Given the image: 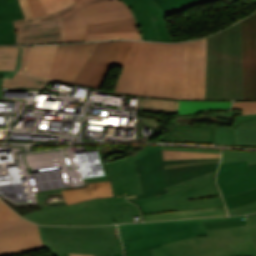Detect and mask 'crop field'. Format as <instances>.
I'll return each mask as SVG.
<instances>
[{
	"label": "crop field",
	"instance_id": "obj_1",
	"mask_svg": "<svg viewBox=\"0 0 256 256\" xmlns=\"http://www.w3.org/2000/svg\"><path fill=\"white\" fill-rule=\"evenodd\" d=\"M105 164L109 171L114 197L40 210L22 217L38 224L50 225H102L132 222L131 216L140 214L137 206L126 201L125 195L142 193L133 156Z\"/></svg>",
	"mask_w": 256,
	"mask_h": 256
},
{
	"label": "crop field",
	"instance_id": "obj_2",
	"mask_svg": "<svg viewBox=\"0 0 256 256\" xmlns=\"http://www.w3.org/2000/svg\"><path fill=\"white\" fill-rule=\"evenodd\" d=\"M183 54L184 43L133 42L114 92L182 99Z\"/></svg>",
	"mask_w": 256,
	"mask_h": 256
},
{
	"label": "crop field",
	"instance_id": "obj_3",
	"mask_svg": "<svg viewBox=\"0 0 256 256\" xmlns=\"http://www.w3.org/2000/svg\"><path fill=\"white\" fill-rule=\"evenodd\" d=\"M205 99H243L241 22L207 37Z\"/></svg>",
	"mask_w": 256,
	"mask_h": 256
},
{
	"label": "crop field",
	"instance_id": "obj_4",
	"mask_svg": "<svg viewBox=\"0 0 256 256\" xmlns=\"http://www.w3.org/2000/svg\"><path fill=\"white\" fill-rule=\"evenodd\" d=\"M242 227L207 231L209 237L191 238L152 250L153 256H256V214Z\"/></svg>",
	"mask_w": 256,
	"mask_h": 256
},
{
	"label": "crop field",
	"instance_id": "obj_5",
	"mask_svg": "<svg viewBox=\"0 0 256 256\" xmlns=\"http://www.w3.org/2000/svg\"><path fill=\"white\" fill-rule=\"evenodd\" d=\"M45 246L54 255L123 253L116 225L101 227L39 226Z\"/></svg>",
	"mask_w": 256,
	"mask_h": 256
},
{
	"label": "crop field",
	"instance_id": "obj_6",
	"mask_svg": "<svg viewBox=\"0 0 256 256\" xmlns=\"http://www.w3.org/2000/svg\"><path fill=\"white\" fill-rule=\"evenodd\" d=\"M242 217L246 216L125 224L118 227L125 253H133L161 247V244L181 239L208 236L201 221Z\"/></svg>",
	"mask_w": 256,
	"mask_h": 256
},
{
	"label": "crop field",
	"instance_id": "obj_7",
	"mask_svg": "<svg viewBox=\"0 0 256 256\" xmlns=\"http://www.w3.org/2000/svg\"><path fill=\"white\" fill-rule=\"evenodd\" d=\"M219 159L220 158L163 161L162 150L135 159L143 194L126 197L128 200H133L161 194L165 192L164 188L167 186L217 170L219 162L169 169H164L163 165Z\"/></svg>",
	"mask_w": 256,
	"mask_h": 256
},
{
	"label": "crop field",
	"instance_id": "obj_8",
	"mask_svg": "<svg viewBox=\"0 0 256 256\" xmlns=\"http://www.w3.org/2000/svg\"><path fill=\"white\" fill-rule=\"evenodd\" d=\"M215 174L216 171L170 186L166 188L169 195L137 205L142 214L224 206Z\"/></svg>",
	"mask_w": 256,
	"mask_h": 256
},
{
	"label": "crop field",
	"instance_id": "obj_9",
	"mask_svg": "<svg viewBox=\"0 0 256 256\" xmlns=\"http://www.w3.org/2000/svg\"><path fill=\"white\" fill-rule=\"evenodd\" d=\"M80 6L62 17L64 43L87 41L86 24L130 18L131 10L119 0H81Z\"/></svg>",
	"mask_w": 256,
	"mask_h": 256
},
{
	"label": "crop field",
	"instance_id": "obj_10",
	"mask_svg": "<svg viewBox=\"0 0 256 256\" xmlns=\"http://www.w3.org/2000/svg\"><path fill=\"white\" fill-rule=\"evenodd\" d=\"M23 20L14 21L17 44L63 43L61 16L78 5L75 3L57 13L33 18L26 0H19Z\"/></svg>",
	"mask_w": 256,
	"mask_h": 256
},
{
	"label": "crop field",
	"instance_id": "obj_11",
	"mask_svg": "<svg viewBox=\"0 0 256 256\" xmlns=\"http://www.w3.org/2000/svg\"><path fill=\"white\" fill-rule=\"evenodd\" d=\"M132 42H99L73 83L99 89L111 64L123 65Z\"/></svg>",
	"mask_w": 256,
	"mask_h": 256
},
{
	"label": "crop field",
	"instance_id": "obj_12",
	"mask_svg": "<svg viewBox=\"0 0 256 256\" xmlns=\"http://www.w3.org/2000/svg\"><path fill=\"white\" fill-rule=\"evenodd\" d=\"M45 248L38 225L22 218L0 222V256H11L19 253Z\"/></svg>",
	"mask_w": 256,
	"mask_h": 256
},
{
	"label": "crop field",
	"instance_id": "obj_13",
	"mask_svg": "<svg viewBox=\"0 0 256 256\" xmlns=\"http://www.w3.org/2000/svg\"><path fill=\"white\" fill-rule=\"evenodd\" d=\"M206 38L185 43L183 99H204Z\"/></svg>",
	"mask_w": 256,
	"mask_h": 256
},
{
	"label": "crop field",
	"instance_id": "obj_14",
	"mask_svg": "<svg viewBox=\"0 0 256 256\" xmlns=\"http://www.w3.org/2000/svg\"><path fill=\"white\" fill-rule=\"evenodd\" d=\"M97 44L59 45L48 77L72 83Z\"/></svg>",
	"mask_w": 256,
	"mask_h": 256
},
{
	"label": "crop field",
	"instance_id": "obj_15",
	"mask_svg": "<svg viewBox=\"0 0 256 256\" xmlns=\"http://www.w3.org/2000/svg\"><path fill=\"white\" fill-rule=\"evenodd\" d=\"M134 12L143 40L172 42L163 19L153 21L152 16L162 14L154 0H123Z\"/></svg>",
	"mask_w": 256,
	"mask_h": 256
},
{
	"label": "crop field",
	"instance_id": "obj_16",
	"mask_svg": "<svg viewBox=\"0 0 256 256\" xmlns=\"http://www.w3.org/2000/svg\"><path fill=\"white\" fill-rule=\"evenodd\" d=\"M244 99H256V16L242 21Z\"/></svg>",
	"mask_w": 256,
	"mask_h": 256
},
{
	"label": "crop field",
	"instance_id": "obj_17",
	"mask_svg": "<svg viewBox=\"0 0 256 256\" xmlns=\"http://www.w3.org/2000/svg\"><path fill=\"white\" fill-rule=\"evenodd\" d=\"M215 128L195 124L174 125L169 133L160 138V141L214 144Z\"/></svg>",
	"mask_w": 256,
	"mask_h": 256
},
{
	"label": "crop field",
	"instance_id": "obj_18",
	"mask_svg": "<svg viewBox=\"0 0 256 256\" xmlns=\"http://www.w3.org/2000/svg\"><path fill=\"white\" fill-rule=\"evenodd\" d=\"M222 196H230L256 188V167L230 174L217 181Z\"/></svg>",
	"mask_w": 256,
	"mask_h": 256
},
{
	"label": "crop field",
	"instance_id": "obj_19",
	"mask_svg": "<svg viewBox=\"0 0 256 256\" xmlns=\"http://www.w3.org/2000/svg\"><path fill=\"white\" fill-rule=\"evenodd\" d=\"M32 50L33 46H23L20 69L12 79H3L2 88L17 86L43 88L47 83L52 81L51 78L26 74Z\"/></svg>",
	"mask_w": 256,
	"mask_h": 256
},
{
	"label": "crop field",
	"instance_id": "obj_20",
	"mask_svg": "<svg viewBox=\"0 0 256 256\" xmlns=\"http://www.w3.org/2000/svg\"><path fill=\"white\" fill-rule=\"evenodd\" d=\"M62 192L68 205L93 198L113 196L110 181L89 183L86 188Z\"/></svg>",
	"mask_w": 256,
	"mask_h": 256
},
{
	"label": "crop field",
	"instance_id": "obj_21",
	"mask_svg": "<svg viewBox=\"0 0 256 256\" xmlns=\"http://www.w3.org/2000/svg\"><path fill=\"white\" fill-rule=\"evenodd\" d=\"M57 46H34L27 73L47 77Z\"/></svg>",
	"mask_w": 256,
	"mask_h": 256
},
{
	"label": "crop field",
	"instance_id": "obj_22",
	"mask_svg": "<svg viewBox=\"0 0 256 256\" xmlns=\"http://www.w3.org/2000/svg\"><path fill=\"white\" fill-rule=\"evenodd\" d=\"M228 215L225 207L211 208L196 211H172L156 214L142 215L144 221L175 219V218H192V217H210Z\"/></svg>",
	"mask_w": 256,
	"mask_h": 256
},
{
	"label": "crop field",
	"instance_id": "obj_23",
	"mask_svg": "<svg viewBox=\"0 0 256 256\" xmlns=\"http://www.w3.org/2000/svg\"><path fill=\"white\" fill-rule=\"evenodd\" d=\"M232 101H188L180 100L179 115H188L203 110L230 109Z\"/></svg>",
	"mask_w": 256,
	"mask_h": 256
},
{
	"label": "crop field",
	"instance_id": "obj_24",
	"mask_svg": "<svg viewBox=\"0 0 256 256\" xmlns=\"http://www.w3.org/2000/svg\"><path fill=\"white\" fill-rule=\"evenodd\" d=\"M88 34L138 31L133 18L87 25Z\"/></svg>",
	"mask_w": 256,
	"mask_h": 256
},
{
	"label": "crop field",
	"instance_id": "obj_25",
	"mask_svg": "<svg viewBox=\"0 0 256 256\" xmlns=\"http://www.w3.org/2000/svg\"><path fill=\"white\" fill-rule=\"evenodd\" d=\"M165 14L153 17L154 20L163 18L165 15L177 13L190 6L202 4L214 0H155ZM165 6V7H163Z\"/></svg>",
	"mask_w": 256,
	"mask_h": 256
},
{
	"label": "crop field",
	"instance_id": "obj_26",
	"mask_svg": "<svg viewBox=\"0 0 256 256\" xmlns=\"http://www.w3.org/2000/svg\"><path fill=\"white\" fill-rule=\"evenodd\" d=\"M235 136L236 145L256 146V121L239 124Z\"/></svg>",
	"mask_w": 256,
	"mask_h": 256
},
{
	"label": "crop field",
	"instance_id": "obj_27",
	"mask_svg": "<svg viewBox=\"0 0 256 256\" xmlns=\"http://www.w3.org/2000/svg\"><path fill=\"white\" fill-rule=\"evenodd\" d=\"M179 100L156 99L140 97L139 109L141 110H156V111H178Z\"/></svg>",
	"mask_w": 256,
	"mask_h": 256
},
{
	"label": "crop field",
	"instance_id": "obj_28",
	"mask_svg": "<svg viewBox=\"0 0 256 256\" xmlns=\"http://www.w3.org/2000/svg\"><path fill=\"white\" fill-rule=\"evenodd\" d=\"M23 18L18 0H0V22Z\"/></svg>",
	"mask_w": 256,
	"mask_h": 256
},
{
	"label": "crop field",
	"instance_id": "obj_29",
	"mask_svg": "<svg viewBox=\"0 0 256 256\" xmlns=\"http://www.w3.org/2000/svg\"><path fill=\"white\" fill-rule=\"evenodd\" d=\"M19 46L0 47V70H14Z\"/></svg>",
	"mask_w": 256,
	"mask_h": 256
},
{
	"label": "crop field",
	"instance_id": "obj_30",
	"mask_svg": "<svg viewBox=\"0 0 256 256\" xmlns=\"http://www.w3.org/2000/svg\"><path fill=\"white\" fill-rule=\"evenodd\" d=\"M248 160L256 163V152L223 149L221 163Z\"/></svg>",
	"mask_w": 256,
	"mask_h": 256
},
{
	"label": "crop field",
	"instance_id": "obj_31",
	"mask_svg": "<svg viewBox=\"0 0 256 256\" xmlns=\"http://www.w3.org/2000/svg\"><path fill=\"white\" fill-rule=\"evenodd\" d=\"M163 156L164 160H173L220 157V154L163 150Z\"/></svg>",
	"mask_w": 256,
	"mask_h": 256
},
{
	"label": "crop field",
	"instance_id": "obj_32",
	"mask_svg": "<svg viewBox=\"0 0 256 256\" xmlns=\"http://www.w3.org/2000/svg\"><path fill=\"white\" fill-rule=\"evenodd\" d=\"M226 204V208H232L239 205H243L256 200V189L240 193L234 196L223 198Z\"/></svg>",
	"mask_w": 256,
	"mask_h": 256
},
{
	"label": "crop field",
	"instance_id": "obj_33",
	"mask_svg": "<svg viewBox=\"0 0 256 256\" xmlns=\"http://www.w3.org/2000/svg\"><path fill=\"white\" fill-rule=\"evenodd\" d=\"M16 44L13 22L0 23V45Z\"/></svg>",
	"mask_w": 256,
	"mask_h": 256
},
{
	"label": "crop field",
	"instance_id": "obj_34",
	"mask_svg": "<svg viewBox=\"0 0 256 256\" xmlns=\"http://www.w3.org/2000/svg\"><path fill=\"white\" fill-rule=\"evenodd\" d=\"M120 38L141 40L139 32L88 35V41L110 40V39H120Z\"/></svg>",
	"mask_w": 256,
	"mask_h": 256
},
{
	"label": "crop field",
	"instance_id": "obj_35",
	"mask_svg": "<svg viewBox=\"0 0 256 256\" xmlns=\"http://www.w3.org/2000/svg\"><path fill=\"white\" fill-rule=\"evenodd\" d=\"M246 223H247L246 218L203 222L207 230L226 228V227H232V226H238V225H246Z\"/></svg>",
	"mask_w": 256,
	"mask_h": 256
},
{
	"label": "crop field",
	"instance_id": "obj_36",
	"mask_svg": "<svg viewBox=\"0 0 256 256\" xmlns=\"http://www.w3.org/2000/svg\"><path fill=\"white\" fill-rule=\"evenodd\" d=\"M215 144L234 145L233 129L217 127L215 132Z\"/></svg>",
	"mask_w": 256,
	"mask_h": 256
},
{
	"label": "crop field",
	"instance_id": "obj_37",
	"mask_svg": "<svg viewBox=\"0 0 256 256\" xmlns=\"http://www.w3.org/2000/svg\"><path fill=\"white\" fill-rule=\"evenodd\" d=\"M248 167L247 161L221 164L217 174V179Z\"/></svg>",
	"mask_w": 256,
	"mask_h": 256
},
{
	"label": "crop field",
	"instance_id": "obj_38",
	"mask_svg": "<svg viewBox=\"0 0 256 256\" xmlns=\"http://www.w3.org/2000/svg\"><path fill=\"white\" fill-rule=\"evenodd\" d=\"M41 2L47 14L56 12L75 3L74 0H41Z\"/></svg>",
	"mask_w": 256,
	"mask_h": 256
},
{
	"label": "crop field",
	"instance_id": "obj_39",
	"mask_svg": "<svg viewBox=\"0 0 256 256\" xmlns=\"http://www.w3.org/2000/svg\"><path fill=\"white\" fill-rule=\"evenodd\" d=\"M232 108L242 109V114L256 113V101H234Z\"/></svg>",
	"mask_w": 256,
	"mask_h": 256
},
{
	"label": "crop field",
	"instance_id": "obj_40",
	"mask_svg": "<svg viewBox=\"0 0 256 256\" xmlns=\"http://www.w3.org/2000/svg\"><path fill=\"white\" fill-rule=\"evenodd\" d=\"M229 215H241V214H249V213H255L256 212V201L239 206L233 209L227 210Z\"/></svg>",
	"mask_w": 256,
	"mask_h": 256
},
{
	"label": "crop field",
	"instance_id": "obj_41",
	"mask_svg": "<svg viewBox=\"0 0 256 256\" xmlns=\"http://www.w3.org/2000/svg\"><path fill=\"white\" fill-rule=\"evenodd\" d=\"M19 217L13 210L0 201V221Z\"/></svg>",
	"mask_w": 256,
	"mask_h": 256
},
{
	"label": "crop field",
	"instance_id": "obj_42",
	"mask_svg": "<svg viewBox=\"0 0 256 256\" xmlns=\"http://www.w3.org/2000/svg\"><path fill=\"white\" fill-rule=\"evenodd\" d=\"M27 1L30 5L31 11L34 17L46 14L39 0H27Z\"/></svg>",
	"mask_w": 256,
	"mask_h": 256
},
{
	"label": "crop field",
	"instance_id": "obj_43",
	"mask_svg": "<svg viewBox=\"0 0 256 256\" xmlns=\"http://www.w3.org/2000/svg\"><path fill=\"white\" fill-rule=\"evenodd\" d=\"M21 47L19 48V53H18V59H17V65L15 71H0V78H12L13 75L16 73L20 66V55H21Z\"/></svg>",
	"mask_w": 256,
	"mask_h": 256
},
{
	"label": "crop field",
	"instance_id": "obj_44",
	"mask_svg": "<svg viewBox=\"0 0 256 256\" xmlns=\"http://www.w3.org/2000/svg\"><path fill=\"white\" fill-rule=\"evenodd\" d=\"M194 118L193 115L189 116H177L173 120V124H192Z\"/></svg>",
	"mask_w": 256,
	"mask_h": 256
},
{
	"label": "crop field",
	"instance_id": "obj_45",
	"mask_svg": "<svg viewBox=\"0 0 256 256\" xmlns=\"http://www.w3.org/2000/svg\"><path fill=\"white\" fill-rule=\"evenodd\" d=\"M249 120H256V114L253 115H236L235 123L232 128H235L239 123L249 121Z\"/></svg>",
	"mask_w": 256,
	"mask_h": 256
},
{
	"label": "crop field",
	"instance_id": "obj_46",
	"mask_svg": "<svg viewBox=\"0 0 256 256\" xmlns=\"http://www.w3.org/2000/svg\"><path fill=\"white\" fill-rule=\"evenodd\" d=\"M162 149L220 153V150H212V149L174 148V147H163V146H162Z\"/></svg>",
	"mask_w": 256,
	"mask_h": 256
},
{
	"label": "crop field",
	"instance_id": "obj_47",
	"mask_svg": "<svg viewBox=\"0 0 256 256\" xmlns=\"http://www.w3.org/2000/svg\"><path fill=\"white\" fill-rule=\"evenodd\" d=\"M160 149H161V146H149V147H146L145 149H143V150H141V151L135 153L134 159H135V158H138V157H140V156L149 154V153H151V152L160 150Z\"/></svg>",
	"mask_w": 256,
	"mask_h": 256
},
{
	"label": "crop field",
	"instance_id": "obj_48",
	"mask_svg": "<svg viewBox=\"0 0 256 256\" xmlns=\"http://www.w3.org/2000/svg\"><path fill=\"white\" fill-rule=\"evenodd\" d=\"M141 124L149 125V126H152V127H155V128L158 127V123L156 121H154L152 119H148V118L142 119Z\"/></svg>",
	"mask_w": 256,
	"mask_h": 256
},
{
	"label": "crop field",
	"instance_id": "obj_49",
	"mask_svg": "<svg viewBox=\"0 0 256 256\" xmlns=\"http://www.w3.org/2000/svg\"><path fill=\"white\" fill-rule=\"evenodd\" d=\"M125 256H152L151 250L141 253H134V254H125Z\"/></svg>",
	"mask_w": 256,
	"mask_h": 256
},
{
	"label": "crop field",
	"instance_id": "obj_50",
	"mask_svg": "<svg viewBox=\"0 0 256 256\" xmlns=\"http://www.w3.org/2000/svg\"><path fill=\"white\" fill-rule=\"evenodd\" d=\"M210 162H216V161H210ZM201 163H208V162L185 163V164H177V165H168V166H164V167H165V168H168V167H177V166L201 164Z\"/></svg>",
	"mask_w": 256,
	"mask_h": 256
},
{
	"label": "crop field",
	"instance_id": "obj_51",
	"mask_svg": "<svg viewBox=\"0 0 256 256\" xmlns=\"http://www.w3.org/2000/svg\"><path fill=\"white\" fill-rule=\"evenodd\" d=\"M164 196L165 195H167V192L166 193H164L163 194ZM163 197V196H162ZM157 197L156 196H154V197H150V198H146V199H142V200H133V201H131V202H133V203H140V202H144V201H147V200H151V199H156ZM158 198H161V197H158Z\"/></svg>",
	"mask_w": 256,
	"mask_h": 256
},
{
	"label": "crop field",
	"instance_id": "obj_52",
	"mask_svg": "<svg viewBox=\"0 0 256 256\" xmlns=\"http://www.w3.org/2000/svg\"><path fill=\"white\" fill-rule=\"evenodd\" d=\"M70 256H92V255L70 254Z\"/></svg>",
	"mask_w": 256,
	"mask_h": 256
},
{
	"label": "crop field",
	"instance_id": "obj_53",
	"mask_svg": "<svg viewBox=\"0 0 256 256\" xmlns=\"http://www.w3.org/2000/svg\"><path fill=\"white\" fill-rule=\"evenodd\" d=\"M93 256H112V254H99V255H93Z\"/></svg>",
	"mask_w": 256,
	"mask_h": 256
},
{
	"label": "crop field",
	"instance_id": "obj_54",
	"mask_svg": "<svg viewBox=\"0 0 256 256\" xmlns=\"http://www.w3.org/2000/svg\"><path fill=\"white\" fill-rule=\"evenodd\" d=\"M1 83H2V79H0V99H1Z\"/></svg>",
	"mask_w": 256,
	"mask_h": 256
},
{
	"label": "crop field",
	"instance_id": "obj_55",
	"mask_svg": "<svg viewBox=\"0 0 256 256\" xmlns=\"http://www.w3.org/2000/svg\"><path fill=\"white\" fill-rule=\"evenodd\" d=\"M113 256H123V254H114Z\"/></svg>",
	"mask_w": 256,
	"mask_h": 256
},
{
	"label": "crop field",
	"instance_id": "obj_56",
	"mask_svg": "<svg viewBox=\"0 0 256 256\" xmlns=\"http://www.w3.org/2000/svg\"><path fill=\"white\" fill-rule=\"evenodd\" d=\"M60 256H69V254H65V255H60Z\"/></svg>",
	"mask_w": 256,
	"mask_h": 256
},
{
	"label": "crop field",
	"instance_id": "obj_57",
	"mask_svg": "<svg viewBox=\"0 0 256 256\" xmlns=\"http://www.w3.org/2000/svg\"><path fill=\"white\" fill-rule=\"evenodd\" d=\"M256 166V164L250 165V167Z\"/></svg>",
	"mask_w": 256,
	"mask_h": 256
},
{
	"label": "crop field",
	"instance_id": "obj_58",
	"mask_svg": "<svg viewBox=\"0 0 256 256\" xmlns=\"http://www.w3.org/2000/svg\"><path fill=\"white\" fill-rule=\"evenodd\" d=\"M77 1H79V0H75V2H77Z\"/></svg>",
	"mask_w": 256,
	"mask_h": 256
}]
</instances>
